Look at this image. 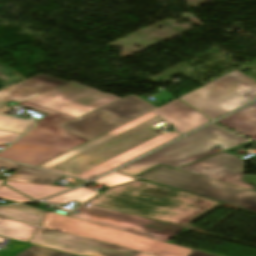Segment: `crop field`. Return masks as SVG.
<instances>
[{"label": "crop field", "instance_id": "1", "mask_svg": "<svg viewBox=\"0 0 256 256\" xmlns=\"http://www.w3.org/2000/svg\"><path fill=\"white\" fill-rule=\"evenodd\" d=\"M181 102L175 100L151 111L39 168L90 180L181 136L172 131L163 133L152 126L161 120L171 123L182 134L211 121Z\"/></svg>", "mask_w": 256, "mask_h": 256}, {"label": "crop field", "instance_id": "2", "mask_svg": "<svg viewBox=\"0 0 256 256\" xmlns=\"http://www.w3.org/2000/svg\"><path fill=\"white\" fill-rule=\"evenodd\" d=\"M119 98L67 82L18 106L47 113L0 157L37 166L85 141L59 125Z\"/></svg>", "mask_w": 256, "mask_h": 256}, {"label": "crop field", "instance_id": "3", "mask_svg": "<svg viewBox=\"0 0 256 256\" xmlns=\"http://www.w3.org/2000/svg\"><path fill=\"white\" fill-rule=\"evenodd\" d=\"M89 202L181 226L221 204L141 180L111 188Z\"/></svg>", "mask_w": 256, "mask_h": 256}, {"label": "crop field", "instance_id": "4", "mask_svg": "<svg viewBox=\"0 0 256 256\" xmlns=\"http://www.w3.org/2000/svg\"><path fill=\"white\" fill-rule=\"evenodd\" d=\"M247 140L248 139L244 137L212 124L116 172L135 176L158 164L179 168L196 160L218 153L210 150L217 145L226 149Z\"/></svg>", "mask_w": 256, "mask_h": 256}, {"label": "crop field", "instance_id": "5", "mask_svg": "<svg viewBox=\"0 0 256 256\" xmlns=\"http://www.w3.org/2000/svg\"><path fill=\"white\" fill-rule=\"evenodd\" d=\"M43 228L69 233L156 256H188L192 250L146 239L127 232L47 212Z\"/></svg>", "mask_w": 256, "mask_h": 256}, {"label": "crop field", "instance_id": "6", "mask_svg": "<svg viewBox=\"0 0 256 256\" xmlns=\"http://www.w3.org/2000/svg\"><path fill=\"white\" fill-rule=\"evenodd\" d=\"M181 99L216 119L256 99V82L234 70Z\"/></svg>", "mask_w": 256, "mask_h": 256}, {"label": "crop field", "instance_id": "7", "mask_svg": "<svg viewBox=\"0 0 256 256\" xmlns=\"http://www.w3.org/2000/svg\"><path fill=\"white\" fill-rule=\"evenodd\" d=\"M138 178L256 211V191L159 166Z\"/></svg>", "mask_w": 256, "mask_h": 256}, {"label": "crop field", "instance_id": "8", "mask_svg": "<svg viewBox=\"0 0 256 256\" xmlns=\"http://www.w3.org/2000/svg\"><path fill=\"white\" fill-rule=\"evenodd\" d=\"M133 101L136 103H132ZM156 108L132 95L61 126L88 140H92Z\"/></svg>", "mask_w": 256, "mask_h": 256}, {"label": "crop field", "instance_id": "9", "mask_svg": "<svg viewBox=\"0 0 256 256\" xmlns=\"http://www.w3.org/2000/svg\"><path fill=\"white\" fill-rule=\"evenodd\" d=\"M78 214L70 217L124 230L143 237L166 242L184 228L140 218L97 206L77 209Z\"/></svg>", "mask_w": 256, "mask_h": 256}, {"label": "crop field", "instance_id": "10", "mask_svg": "<svg viewBox=\"0 0 256 256\" xmlns=\"http://www.w3.org/2000/svg\"><path fill=\"white\" fill-rule=\"evenodd\" d=\"M79 256H151L109 244L39 228L29 242Z\"/></svg>", "mask_w": 256, "mask_h": 256}, {"label": "crop field", "instance_id": "11", "mask_svg": "<svg viewBox=\"0 0 256 256\" xmlns=\"http://www.w3.org/2000/svg\"><path fill=\"white\" fill-rule=\"evenodd\" d=\"M67 81L36 75L0 91V129L23 134L34 123L6 115L11 109L6 106L9 101L21 103L31 97L48 91Z\"/></svg>", "mask_w": 256, "mask_h": 256}, {"label": "crop field", "instance_id": "12", "mask_svg": "<svg viewBox=\"0 0 256 256\" xmlns=\"http://www.w3.org/2000/svg\"><path fill=\"white\" fill-rule=\"evenodd\" d=\"M243 167V162L216 155L178 170L256 190V187L242 182Z\"/></svg>", "mask_w": 256, "mask_h": 256}, {"label": "crop field", "instance_id": "13", "mask_svg": "<svg viewBox=\"0 0 256 256\" xmlns=\"http://www.w3.org/2000/svg\"><path fill=\"white\" fill-rule=\"evenodd\" d=\"M218 123L256 140V103Z\"/></svg>", "mask_w": 256, "mask_h": 256}, {"label": "crop field", "instance_id": "14", "mask_svg": "<svg viewBox=\"0 0 256 256\" xmlns=\"http://www.w3.org/2000/svg\"><path fill=\"white\" fill-rule=\"evenodd\" d=\"M44 210L25 205L0 207V217L38 226Z\"/></svg>", "mask_w": 256, "mask_h": 256}, {"label": "crop field", "instance_id": "15", "mask_svg": "<svg viewBox=\"0 0 256 256\" xmlns=\"http://www.w3.org/2000/svg\"><path fill=\"white\" fill-rule=\"evenodd\" d=\"M61 177L63 176L24 166L18 173L13 174L8 180L34 184L53 185Z\"/></svg>", "mask_w": 256, "mask_h": 256}, {"label": "crop field", "instance_id": "16", "mask_svg": "<svg viewBox=\"0 0 256 256\" xmlns=\"http://www.w3.org/2000/svg\"><path fill=\"white\" fill-rule=\"evenodd\" d=\"M38 227L11 222L0 218V235L27 242Z\"/></svg>", "mask_w": 256, "mask_h": 256}, {"label": "crop field", "instance_id": "17", "mask_svg": "<svg viewBox=\"0 0 256 256\" xmlns=\"http://www.w3.org/2000/svg\"><path fill=\"white\" fill-rule=\"evenodd\" d=\"M6 183L10 187L22 192L23 194L35 200L69 189L65 187L34 185V184H26V183H18V182H10V181H6Z\"/></svg>", "mask_w": 256, "mask_h": 256}, {"label": "crop field", "instance_id": "18", "mask_svg": "<svg viewBox=\"0 0 256 256\" xmlns=\"http://www.w3.org/2000/svg\"><path fill=\"white\" fill-rule=\"evenodd\" d=\"M97 194H98V192H94V191H91L84 187H81L79 189L73 190L66 194L48 199V200H46V202L53 203V204H56V203L66 204V203L70 202L71 200H76L82 204L83 202L96 196Z\"/></svg>", "mask_w": 256, "mask_h": 256}, {"label": "crop field", "instance_id": "19", "mask_svg": "<svg viewBox=\"0 0 256 256\" xmlns=\"http://www.w3.org/2000/svg\"><path fill=\"white\" fill-rule=\"evenodd\" d=\"M23 80L18 74L12 71L10 68L0 64V86L2 88L15 84Z\"/></svg>", "mask_w": 256, "mask_h": 256}, {"label": "crop field", "instance_id": "20", "mask_svg": "<svg viewBox=\"0 0 256 256\" xmlns=\"http://www.w3.org/2000/svg\"><path fill=\"white\" fill-rule=\"evenodd\" d=\"M18 256H75V255H71V254H67V253H63V252H59L52 249L34 245L33 247L24 251Z\"/></svg>", "mask_w": 256, "mask_h": 256}, {"label": "crop field", "instance_id": "21", "mask_svg": "<svg viewBox=\"0 0 256 256\" xmlns=\"http://www.w3.org/2000/svg\"><path fill=\"white\" fill-rule=\"evenodd\" d=\"M131 180H135V179L111 173L103 178H100V179L94 181V182L101 183L107 187H113V186H116V185H119V184H122V183H125L128 181H131Z\"/></svg>", "mask_w": 256, "mask_h": 256}, {"label": "crop field", "instance_id": "22", "mask_svg": "<svg viewBox=\"0 0 256 256\" xmlns=\"http://www.w3.org/2000/svg\"><path fill=\"white\" fill-rule=\"evenodd\" d=\"M0 197L9 199V200H13V201H17V202L32 201L29 198L15 192L14 190H12L4 185L0 187Z\"/></svg>", "mask_w": 256, "mask_h": 256}, {"label": "crop field", "instance_id": "23", "mask_svg": "<svg viewBox=\"0 0 256 256\" xmlns=\"http://www.w3.org/2000/svg\"><path fill=\"white\" fill-rule=\"evenodd\" d=\"M20 135L19 134H13V133H7L0 131V145L8 142L12 143L16 138H18Z\"/></svg>", "mask_w": 256, "mask_h": 256}, {"label": "crop field", "instance_id": "24", "mask_svg": "<svg viewBox=\"0 0 256 256\" xmlns=\"http://www.w3.org/2000/svg\"><path fill=\"white\" fill-rule=\"evenodd\" d=\"M0 167L16 171L19 167H21V165H18V164L12 163V162H8V161H4V160H0Z\"/></svg>", "mask_w": 256, "mask_h": 256}, {"label": "crop field", "instance_id": "25", "mask_svg": "<svg viewBox=\"0 0 256 256\" xmlns=\"http://www.w3.org/2000/svg\"><path fill=\"white\" fill-rule=\"evenodd\" d=\"M189 256H211V255H207V254H203V253L193 251Z\"/></svg>", "mask_w": 256, "mask_h": 256}, {"label": "crop field", "instance_id": "26", "mask_svg": "<svg viewBox=\"0 0 256 256\" xmlns=\"http://www.w3.org/2000/svg\"><path fill=\"white\" fill-rule=\"evenodd\" d=\"M2 184V181L0 180V185Z\"/></svg>", "mask_w": 256, "mask_h": 256}, {"label": "crop field", "instance_id": "27", "mask_svg": "<svg viewBox=\"0 0 256 256\" xmlns=\"http://www.w3.org/2000/svg\"><path fill=\"white\" fill-rule=\"evenodd\" d=\"M0 89H1V87H0Z\"/></svg>", "mask_w": 256, "mask_h": 256}]
</instances>
